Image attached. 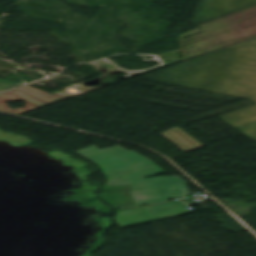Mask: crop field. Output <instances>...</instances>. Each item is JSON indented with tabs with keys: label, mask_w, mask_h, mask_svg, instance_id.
Here are the masks:
<instances>
[{
	"label": "crop field",
	"mask_w": 256,
	"mask_h": 256,
	"mask_svg": "<svg viewBox=\"0 0 256 256\" xmlns=\"http://www.w3.org/2000/svg\"><path fill=\"white\" fill-rule=\"evenodd\" d=\"M9 100H25L26 101V108L8 110V112L20 114V113L41 107L49 103L63 100V99L60 97L50 95L46 92H43L41 90H38L36 88H33L27 85L17 90L0 94V105L6 106L4 104V101H9ZM6 109L8 108L0 106V110L5 111Z\"/></svg>",
	"instance_id": "obj_4"
},
{
	"label": "crop field",
	"mask_w": 256,
	"mask_h": 256,
	"mask_svg": "<svg viewBox=\"0 0 256 256\" xmlns=\"http://www.w3.org/2000/svg\"><path fill=\"white\" fill-rule=\"evenodd\" d=\"M3 89H6V88H1V87H0V90H3Z\"/></svg>",
	"instance_id": "obj_6"
},
{
	"label": "crop field",
	"mask_w": 256,
	"mask_h": 256,
	"mask_svg": "<svg viewBox=\"0 0 256 256\" xmlns=\"http://www.w3.org/2000/svg\"><path fill=\"white\" fill-rule=\"evenodd\" d=\"M131 184L130 192L136 205L165 202L167 198L190 195L186 182L175 176L132 179L107 180L105 186ZM192 195V194H191Z\"/></svg>",
	"instance_id": "obj_2"
},
{
	"label": "crop field",
	"mask_w": 256,
	"mask_h": 256,
	"mask_svg": "<svg viewBox=\"0 0 256 256\" xmlns=\"http://www.w3.org/2000/svg\"><path fill=\"white\" fill-rule=\"evenodd\" d=\"M191 206L188 202L182 200L164 203L160 205L138 208L115 215L119 227H129L133 225L148 223L166 218L190 214L185 207Z\"/></svg>",
	"instance_id": "obj_3"
},
{
	"label": "crop field",
	"mask_w": 256,
	"mask_h": 256,
	"mask_svg": "<svg viewBox=\"0 0 256 256\" xmlns=\"http://www.w3.org/2000/svg\"><path fill=\"white\" fill-rule=\"evenodd\" d=\"M0 86H1V87L9 88V87H12V86H16V84H12V83H7V82H2V81H0Z\"/></svg>",
	"instance_id": "obj_5"
},
{
	"label": "crop field",
	"mask_w": 256,
	"mask_h": 256,
	"mask_svg": "<svg viewBox=\"0 0 256 256\" xmlns=\"http://www.w3.org/2000/svg\"><path fill=\"white\" fill-rule=\"evenodd\" d=\"M120 146L103 150L92 146L74 152L96 163L107 179L144 178L163 173L150 159Z\"/></svg>",
	"instance_id": "obj_1"
},
{
	"label": "crop field",
	"mask_w": 256,
	"mask_h": 256,
	"mask_svg": "<svg viewBox=\"0 0 256 256\" xmlns=\"http://www.w3.org/2000/svg\"><path fill=\"white\" fill-rule=\"evenodd\" d=\"M0 80H2V79H0ZM2 81H6V80H2ZM7 82H9V81H7Z\"/></svg>",
	"instance_id": "obj_7"
}]
</instances>
